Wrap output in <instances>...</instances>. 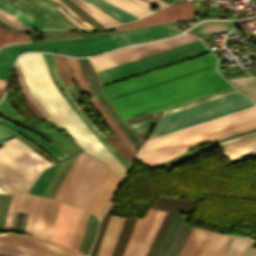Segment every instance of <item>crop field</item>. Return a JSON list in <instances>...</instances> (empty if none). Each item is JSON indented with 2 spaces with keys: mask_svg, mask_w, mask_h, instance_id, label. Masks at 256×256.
I'll return each mask as SVG.
<instances>
[{
  "mask_svg": "<svg viewBox=\"0 0 256 256\" xmlns=\"http://www.w3.org/2000/svg\"><path fill=\"white\" fill-rule=\"evenodd\" d=\"M152 121H153V118L150 120L129 124V126L134 131V133L137 134V133H140V132L150 129V127L152 125Z\"/></svg>",
  "mask_w": 256,
  "mask_h": 256,
  "instance_id": "obj_47",
  "label": "crop field"
},
{
  "mask_svg": "<svg viewBox=\"0 0 256 256\" xmlns=\"http://www.w3.org/2000/svg\"><path fill=\"white\" fill-rule=\"evenodd\" d=\"M207 52L201 40L97 72L101 84L113 82L175 61Z\"/></svg>",
  "mask_w": 256,
  "mask_h": 256,
  "instance_id": "obj_7",
  "label": "crop field"
},
{
  "mask_svg": "<svg viewBox=\"0 0 256 256\" xmlns=\"http://www.w3.org/2000/svg\"><path fill=\"white\" fill-rule=\"evenodd\" d=\"M8 1L12 2V1H14V0H8Z\"/></svg>",
  "mask_w": 256,
  "mask_h": 256,
  "instance_id": "obj_69",
  "label": "crop field"
},
{
  "mask_svg": "<svg viewBox=\"0 0 256 256\" xmlns=\"http://www.w3.org/2000/svg\"><path fill=\"white\" fill-rule=\"evenodd\" d=\"M233 92H236V90L231 88V89H228V90L216 93V94H212V95H209V96H206V97H203V98H200V99H197V100H194V101L182 104V105H178V106L163 110L162 113L166 114V113H169V112H173V111H176V110L188 107V106H192V105H195V104L207 101V100H211V99H214V98L226 95V94H230V93H233Z\"/></svg>",
  "mask_w": 256,
  "mask_h": 256,
  "instance_id": "obj_37",
  "label": "crop field"
},
{
  "mask_svg": "<svg viewBox=\"0 0 256 256\" xmlns=\"http://www.w3.org/2000/svg\"><path fill=\"white\" fill-rule=\"evenodd\" d=\"M32 196L27 194H22L19 202L17 212H28Z\"/></svg>",
  "mask_w": 256,
  "mask_h": 256,
  "instance_id": "obj_51",
  "label": "crop field"
},
{
  "mask_svg": "<svg viewBox=\"0 0 256 256\" xmlns=\"http://www.w3.org/2000/svg\"><path fill=\"white\" fill-rule=\"evenodd\" d=\"M139 18L151 13L150 11L128 1V0H105Z\"/></svg>",
  "mask_w": 256,
  "mask_h": 256,
  "instance_id": "obj_33",
  "label": "crop field"
},
{
  "mask_svg": "<svg viewBox=\"0 0 256 256\" xmlns=\"http://www.w3.org/2000/svg\"><path fill=\"white\" fill-rule=\"evenodd\" d=\"M210 233L192 230L180 256H199Z\"/></svg>",
  "mask_w": 256,
  "mask_h": 256,
  "instance_id": "obj_22",
  "label": "crop field"
},
{
  "mask_svg": "<svg viewBox=\"0 0 256 256\" xmlns=\"http://www.w3.org/2000/svg\"><path fill=\"white\" fill-rule=\"evenodd\" d=\"M43 54V56H44V59H45V62H46V64H47V67H48V70H49V72H50V75H51V78H52V80H53V82L55 83V85H56V87L58 88V90L61 92V90H60V88H59V86L57 85V83L55 82V80H54V78H53V75H52V72H51V70H50V68H49V65H48V63H47V60H46V57H45V55H44V53H42ZM61 94L63 95V93L61 92ZM64 96V95H63ZM64 98L66 99V97L64 96ZM67 100V99H66ZM68 101V100H67ZM69 102V101H68ZM69 104L71 105V103L69 102ZM71 107L74 109V107L71 105ZM75 110V109H74ZM76 111V110H75ZM77 112V111H76ZM79 115V114H78ZM80 116V115H79ZM81 117V116H80ZM82 119V118H81ZM83 120V119H82ZM84 121V120H83ZM84 123H85V121H84ZM86 124V123H85ZM87 125V124H86ZM88 126V125H87ZM88 128L90 129V127L88 126ZM91 130V129H90ZM92 131V130H91ZM93 132V131H92ZM94 133V132H93ZM94 135L100 140V142L112 153V151L101 141V139L94 133ZM113 154V153H112ZM114 155V154H113ZM115 156V155H114ZM116 157V156H115ZM116 159L119 161V159L116 157ZM120 163H121V161H120ZM122 165L127 169V170H129L123 163H122Z\"/></svg>",
  "mask_w": 256,
  "mask_h": 256,
  "instance_id": "obj_54",
  "label": "crop field"
},
{
  "mask_svg": "<svg viewBox=\"0 0 256 256\" xmlns=\"http://www.w3.org/2000/svg\"><path fill=\"white\" fill-rule=\"evenodd\" d=\"M52 55V54H51ZM56 68L63 79L66 87L72 86V74L70 72L66 58L63 56L52 55Z\"/></svg>",
  "mask_w": 256,
  "mask_h": 256,
  "instance_id": "obj_34",
  "label": "crop field"
},
{
  "mask_svg": "<svg viewBox=\"0 0 256 256\" xmlns=\"http://www.w3.org/2000/svg\"><path fill=\"white\" fill-rule=\"evenodd\" d=\"M228 16H229V17H231V16H232V11H229Z\"/></svg>",
  "mask_w": 256,
  "mask_h": 256,
  "instance_id": "obj_66",
  "label": "crop field"
},
{
  "mask_svg": "<svg viewBox=\"0 0 256 256\" xmlns=\"http://www.w3.org/2000/svg\"><path fill=\"white\" fill-rule=\"evenodd\" d=\"M157 211L149 209L143 219H138L122 256H136Z\"/></svg>",
  "mask_w": 256,
  "mask_h": 256,
  "instance_id": "obj_16",
  "label": "crop field"
},
{
  "mask_svg": "<svg viewBox=\"0 0 256 256\" xmlns=\"http://www.w3.org/2000/svg\"><path fill=\"white\" fill-rule=\"evenodd\" d=\"M124 218L111 216L97 256H109Z\"/></svg>",
  "mask_w": 256,
  "mask_h": 256,
  "instance_id": "obj_20",
  "label": "crop field"
},
{
  "mask_svg": "<svg viewBox=\"0 0 256 256\" xmlns=\"http://www.w3.org/2000/svg\"><path fill=\"white\" fill-rule=\"evenodd\" d=\"M148 1L151 2L152 4L156 5V6L160 7V8L167 5V4H165V3H163L159 0H148Z\"/></svg>",
  "mask_w": 256,
  "mask_h": 256,
  "instance_id": "obj_59",
  "label": "crop field"
},
{
  "mask_svg": "<svg viewBox=\"0 0 256 256\" xmlns=\"http://www.w3.org/2000/svg\"><path fill=\"white\" fill-rule=\"evenodd\" d=\"M134 1H136V2H138V3H140V4H142V5H144V6H146V7L151 6V5L145 3V2H143V1H141V0H134Z\"/></svg>",
  "mask_w": 256,
  "mask_h": 256,
  "instance_id": "obj_61",
  "label": "crop field"
},
{
  "mask_svg": "<svg viewBox=\"0 0 256 256\" xmlns=\"http://www.w3.org/2000/svg\"><path fill=\"white\" fill-rule=\"evenodd\" d=\"M234 25H235V21H204L190 30L203 35H208V34L227 32Z\"/></svg>",
  "mask_w": 256,
  "mask_h": 256,
  "instance_id": "obj_23",
  "label": "crop field"
},
{
  "mask_svg": "<svg viewBox=\"0 0 256 256\" xmlns=\"http://www.w3.org/2000/svg\"><path fill=\"white\" fill-rule=\"evenodd\" d=\"M0 8L13 14L23 22H25L27 25H29L32 28H46L43 24H41L36 18H34L32 15H30L28 12L4 1L0 0ZM20 11H23L21 13Z\"/></svg>",
  "mask_w": 256,
  "mask_h": 256,
  "instance_id": "obj_26",
  "label": "crop field"
},
{
  "mask_svg": "<svg viewBox=\"0 0 256 256\" xmlns=\"http://www.w3.org/2000/svg\"><path fill=\"white\" fill-rule=\"evenodd\" d=\"M249 74H251L252 76L253 75H256V70L252 71V72H249Z\"/></svg>",
  "mask_w": 256,
  "mask_h": 256,
  "instance_id": "obj_65",
  "label": "crop field"
},
{
  "mask_svg": "<svg viewBox=\"0 0 256 256\" xmlns=\"http://www.w3.org/2000/svg\"><path fill=\"white\" fill-rule=\"evenodd\" d=\"M0 15L2 17H4L6 20L10 21L11 24L0 17L1 21H3L4 23L8 24L9 26H11L12 28H14L16 30L29 29L30 28L29 26H27L25 23H23L19 19L15 18L14 16H12V15H10V14L2 11V10H0Z\"/></svg>",
  "mask_w": 256,
  "mask_h": 256,
  "instance_id": "obj_45",
  "label": "crop field"
},
{
  "mask_svg": "<svg viewBox=\"0 0 256 256\" xmlns=\"http://www.w3.org/2000/svg\"><path fill=\"white\" fill-rule=\"evenodd\" d=\"M149 30H150L154 39L172 36V35H174L178 32H181L179 30L173 29V28L168 27L166 25L150 27Z\"/></svg>",
  "mask_w": 256,
  "mask_h": 256,
  "instance_id": "obj_44",
  "label": "crop field"
},
{
  "mask_svg": "<svg viewBox=\"0 0 256 256\" xmlns=\"http://www.w3.org/2000/svg\"><path fill=\"white\" fill-rule=\"evenodd\" d=\"M163 22H165L164 19L161 17V15L158 13V11H156V12L144 17L143 19H141L137 22L117 26L116 28H117V30H120V29H125V28L155 24V23H163Z\"/></svg>",
  "mask_w": 256,
  "mask_h": 256,
  "instance_id": "obj_38",
  "label": "crop field"
},
{
  "mask_svg": "<svg viewBox=\"0 0 256 256\" xmlns=\"http://www.w3.org/2000/svg\"><path fill=\"white\" fill-rule=\"evenodd\" d=\"M131 44L125 31L90 38L29 44L5 48L0 52V79L6 81L15 57L23 51H52L85 56Z\"/></svg>",
  "mask_w": 256,
  "mask_h": 256,
  "instance_id": "obj_5",
  "label": "crop field"
},
{
  "mask_svg": "<svg viewBox=\"0 0 256 256\" xmlns=\"http://www.w3.org/2000/svg\"><path fill=\"white\" fill-rule=\"evenodd\" d=\"M18 195L19 194H14L13 195V198H12V201H11L8 213H7V220H6L5 230H10L12 213L14 211V208H15V205H16V202H17V199H18Z\"/></svg>",
  "mask_w": 256,
  "mask_h": 256,
  "instance_id": "obj_53",
  "label": "crop field"
},
{
  "mask_svg": "<svg viewBox=\"0 0 256 256\" xmlns=\"http://www.w3.org/2000/svg\"><path fill=\"white\" fill-rule=\"evenodd\" d=\"M14 135H16L15 132L0 124V144Z\"/></svg>",
  "mask_w": 256,
  "mask_h": 256,
  "instance_id": "obj_55",
  "label": "crop field"
},
{
  "mask_svg": "<svg viewBox=\"0 0 256 256\" xmlns=\"http://www.w3.org/2000/svg\"><path fill=\"white\" fill-rule=\"evenodd\" d=\"M237 87L256 101V82L243 84V85H237Z\"/></svg>",
  "mask_w": 256,
  "mask_h": 256,
  "instance_id": "obj_49",
  "label": "crop field"
},
{
  "mask_svg": "<svg viewBox=\"0 0 256 256\" xmlns=\"http://www.w3.org/2000/svg\"><path fill=\"white\" fill-rule=\"evenodd\" d=\"M56 2H58L62 7H64L74 18H76L79 22H81L83 25L87 26L88 28H90L91 30H95V28L93 26H91L89 23L83 21L82 19H80L78 16H76L74 13H72L60 0H54Z\"/></svg>",
  "mask_w": 256,
  "mask_h": 256,
  "instance_id": "obj_57",
  "label": "crop field"
},
{
  "mask_svg": "<svg viewBox=\"0 0 256 256\" xmlns=\"http://www.w3.org/2000/svg\"><path fill=\"white\" fill-rule=\"evenodd\" d=\"M0 193H5V192L0 188Z\"/></svg>",
  "mask_w": 256,
  "mask_h": 256,
  "instance_id": "obj_67",
  "label": "crop field"
},
{
  "mask_svg": "<svg viewBox=\"0 0 256 256\" xmlns=\"http://www.w3.org/2000/svg\"><path fill=\"white\" fill-rule=\"evenodd\" d=\"M117 150L118 152L131 164L133 155L123 145V143L116 137L114 133H108L105 137Z\"/></svg>",
  "mask_w": 256,
  "mask_h": 256,
  "instance_id": "obj_40",
  "label": "crop field"
},
{
  "mask_svg": "<svg viewBox=\"0 0 256 256\" xmlns=\"http://www.w3.org/2000/svg\"><path fill=\"white\" fill-rule=\"evenodd\" d=\"M161 1H163V2H165V3H167V4H169V3H171L173 0H161Z\"/></svg>",
  "mask_w": 256,
  "mask_h": 256,
  "instance_id": "obj_63",
  "label": "crop field"
},
{
  "mask_svg": "<svg viewBox=\"0 0 256 256\" xmlns=\"http://www.w3.org/2000/svg\"><path fill=\"white\" fill-rule=\"evenodd\" d=\"M0 109L7 112L12 117H17L18 115L8 106V102L3 99V101L0 103Z\"/></svg>",
  "mask_w": 256,
  "mask_h": 256,
  "instance_id": "obj_58",
  "label": "crop field"
},
{
  "mask_svg": "<svg viewBox=\"0 0 256 256\" xmlns=\"http://www.w3.org/2000/svg\"><path fill=\"white\" fill-rule=\"evenodd\" d=\"M93 158L91 155L81 152L57 191L55 200L72 204L80 181Z\"/></svg>",
  "mask_w": 256,
  "mask_h": 256,
  "instance_id": "obj_11",
  "label": "crop field"
},
{
  "mask_svg": "<svg viewBox=\"0 0 256 256\" xmlns=\"http://www.w3.org/2000/svg\"><path fill=\"white\" fill-rule=\"evenodd\" d=\"M105 168L101 162L94 158L84 175L72 205L86 208Z\"/></svg>",
  "mask_w": 256,
  "mask_h": 256,
  "instance_id": "obj_15",
  "label": "crop field"
},
{
  "mask_svg": "<svg viewBox=\"0 0 256 256\" xmlns=\"http://www.w3.org/2000/svg\"><path fill=\"white\" fill-rule=\"evenodd\" d=\"M121 181L118 180L114 175L113 177L111 178L108 186L106 187L104 193L102 194L95 210H94V214L100 218V216L104 213V211L108 208L112 198H113V195L119 185Z\"/></svg>",
  "mask_w": 256,
  "mask_h": 256,
  "instance_id": "obj_27",
  "label": "crop field"
},
{
  "mask_svg": "<svg viewBox=\"0 0 256 256\" xmlns=\"http://www.w3.org/2000/svg\"><path fill=\"white\" fill-rule=\"evenodd\" d=\"M112 174L113 173L107 168V170L103 174V176H102V178H101V180L99 182V185H98V187H97V189H96V191H95V193H94V195H93V197H92V199H91V201H90V203H89V205L87 207V210L93 211L97 201L99 200V198H100V196H101L105 186L109 182Z\"/></svg>",
  "mask_w": 256,
  "mask_h": 256,
  "instance_id": "obj_36",
  "label": "crop field"
},
{
  "mask_svg": "<svg viewBox=\"0 0 256 256\" xmlns=\"http://www.w3.org/2000/svg\"><path fill=\"white\" fill-rule=\"evenodd\" d=\"M209 53L116 84L104 92L124 120L231 88Z\"/></svg>",
  "mask_w": 256,
  "mask_h": 256,
  "instance_id": "obj_1",
  "label": "crop field"
},
{
  "mask_svg": "<svg viewBox=\"0 0 256 256\" xmlns=\"http://www.w3.org/2000/svg\"><path fill=\"white\" fill-rule=\"evenodd\" d=\"M165 213L166 212H162V211L157 212V214L154 218V221L151 225V228H150V230L147 234V237H146V239H145V241H144V243H143V245H142V247H141L137 256H145V254H146V252H147V250H148V248H149V246H150V244H151V242H152V240H153V238H154V236H155V234L158 230V227H159Z\"/></svg>",
  "mask_w": 256,
  "mask_h": 256,
  "instance_id": "obj_32",
  "label": "crop field"
},
{
  "mask_svg": "<svg viewBox=\"0 0 256 256\" xmlns=\"http://www.w3.org/2000/svg\"><path fill=\"white\" fill-rule=\"evenodd\" d=\"M256 128V106L148 140L135 158L154 167L193 147Z\"/></svg>",
  "mask_w": 256,
  "mask_h": 256,
  "instance_id": "obj_3",
  "label": "crop field"
},
{
  "mask_svg": "<svg viewBox=\"0 0 256 256\" xmlns=\"http://www.w3.org/2000/svg\"><path fill=\"white\" fill-rule=\"evenodd\" d=\"M226 236L212 232L201 256H220Z\"/></svg>",
  "mask_w": 256,
  "mask_h": 256,
  "instance_id": "obj_28",
  "label": "crop field"
},
{
  "mask_svg": "<svg viewBox=\"0 0 256 256\" xmlns=\"http://www.w3.org/2000/svg\"><path fill=\"white\" fill-rule=\"evenodd\" d=\"M115 207H116V204L112 203L110 208L108 209V211L103 216V218L100 222V225H99L97 237H96L95 243L93 245L92 251L90 253V256H96L97 251H98L99 246H100V243H101V240H102V237H103V234H104V231H105V228L107 226L109 217H110L111 213L113 212V210L115 209Z\"/></svg>",
  "mask_w": 256,
  "mask_h": 256,
  "instance_id": "obj_35",
  "label": "crop field"
},
{
  "mask_svg": "<svg viewBox=\"0 0 256 256\" xmlns=\"http://www.w3.org/2000/svg\"><path fill=\"white\" fill-rule=\"evenodd\" d=\"M4 85H5V82L4 81H2V80H0V89H4Z\"/></svg>",
  "mask_w": 256,
  "mask_h": 256,
  "instance_id": "obj_62",
  "label": "crop field"
},
{
  "mask_svg": "<svg viewBox=\"0 0 256 256\" xmlns=\"http://www.w3.org/2000/svg\"><path fill=\"white\" fill-rule=\"evenodd\" d=\"M195 205L196 200L180 199L163 195L159 196L151 208L167 211V213L146 256H155L175 212L193 213Z\"/></svg>",
  "mask_w": 256,
  "mask_h": 256,
  "instance_id": "obj_10",
  "label": "crop field"
},
{
  "mask_svg": "<svg viewBox=\"0 0 256 256\" xmlns=\"http://www.w3.org/2000/svg\"><path fill=\"white\" fill-rule=\"evenodd\" d=\"M0 254L5 256H79V252L36 237L0 233Z\"/></svg>",
  "mask_w": 256,
  "mask_h": 256,
  "instance_id": "obj_8",
  "label": "crop field"
},
{
  "mask_svg": "<svg viewBox=\"0 0 256 256\" xmlns=\"http://www.w3.org/2000/svg\"><path fill=\"white\" fill-rule=\"evenodd\" d=\"M91 4H93L94 6L104 10L105 12H107L109 15H111L112 17L116 18L117 20H119L122 23L125 22H129V21H133V20H137L139 18L103 1V0H85Z\"/></svg>",
  "mask_w": 256,
  "mask_h": 256,
  "instance_id": "obj_24",
  "label": "crop field"
},
{
  "mask_svg": "<svg viewBox=\"0 0 256 256\" xmlns=\"http://www.w3.org/2000/svg\"><path fill=\"white\" fill-rule=\"evenodd\" d=\"M137 219H124L116 245L111 256H121Z\"/></svg>",
  "mask_w": 256,
  "mask_h": 256,
  "instance_id": "obj_25",
  "label": "crop field"
},
{
  "mask_svg": "<svg viewBox=\"0 0 256 256\" xmlns=\"http://www.w3.org/2000/svg\"><path fill=\"white\" fill-rule=\"evenodd\" d=\"M131 43L143 42L152 40V37L147 28L137 29V30H129L126 31Z\"/></svg>",
  "mask_w": 256,
  "mask_h": 256,
  "instance_id": "obj_43",
  "label": "crop field"
},
{
  "mask_svg": "<svg viewBox=\"0 0 256 256\" xmlns=\"http://www.w3.org/2000/svg\"><path fill=\"white\" fill-rule=\"evenodd\" d=\"M1 93H2V90H0V95H1Z\"/></svg>",
  "mask_w": 256,
  "mask_h": 256,
  "instance_id": "obj_68",
  "label": "crop field"
},
{
  "mask_svg": "<svg viewBox=\"0 0 256 256\" xmlns=\"http://www.w3.org/2000/svg\"><path fill=\"white\" fill-rule=\"evenodd\" d=\"M0 147V187L6 193L27 192L39 174L53 163L12 138Z\"/></svg>",
  "mask_w": 256,
  "mask_h": 256,
  "instance_id": "obj_4",
  "label": "crop field"
},
{
  "mask_svg": "<svg viewBox=\"0 0 256 256\" xmlns=\"http://www.w3.org/2000/svg\"><path fill=\"white\" fill-rule=\"evenodd\" d=\"M58 202L38 198L30 233L44 239H50L53 231Z\"/></svg>",
  "mask_w": 256,
  "mask_h": 256,
  "instance_id": "obj_13",
  "label": "crop field"
},
{
  "mask_svg": "<svg viewBox=\"0 0 256 256\" xmlns=\"http://www.w3.org/2000/svg\"><path fill=\"white\" fill-rule=\"evenodd\" d=\"M26 85L56 125L69 132L86 152L102 160L121 180L128 172L99 142L53 84L41 53L18 60Z\"/></svg>",
  "mask_w": 256,
  "mask_h": 256,
  "instance_id": "obj_2",
  "label": "crop field"
},
{
  "mask_svg": "<svg viewBox=\"0 0 256 256\" xmlns=\"http://www.w3.org/2000/svg\"><path fill=\"white\" fill-rule=\"evenodd\" d=\"M59 164L60 162L46 169L34 183L29 192L41 196L48 181L50 180L51 176L53 175Z\"/></svg>",
  "mask_w": 256,
  "mask_h": 256,
  "instance_id": "obj_31",
  "label": "crop field"
},
{
  "mask_svg": "<svg viewBox=\"0 0 256 256\" xmlns=\"http://www.w3.org/2000/svg\"><path fill=\"white\" fill-rule=\"evenodd\" d=\"M195 40H198V38L191 35L182 34L177 37L149 44H143L113 51L90 59L92 61L95 71L97 72Z\"/></svg>",
  "mask_w": 256,
  "mask_h": 256,
  "instance_id": "obj_9",
  "label": "crop field"
},
{
  "mask_svg": "<svg viewBox=\"0 0 256 256\" xmlns=\"http://www.w3.org/2000/svg\"><path fill=\"white\" fill-rule=\"evenodd\" d=\"M45 55H46V57H47L48 63H49L50 68H51V70H52V72H53V75H54V78H55L56 82L58 83V85L60 86V88L63 90V92L65 93V95L68 97V99L70 100V102L73 104V106L76 108V110L79 112V114L82 113V111L80 110L81 108L79 109V107L77 106V104L75 103V101H74V100L72 99V97L70 96V94H69L68 90L66 89L64 83L62 82L61 78L59 77V75H58V73H57V71H56V69H55V67H54V64H53V62H52V59H51L50 55H49V54H45Z\"/></svg>",
  "mask_w": 256,
  "mask_h": 256,
  "instance_id": "obj_42",
  "label": "crop field"
},
{
  "mask_svg": "<svg viewBox=\"0 0 256 256\" xmlns=\"http://www.w3.org/2000/svg\"><path fill=\"white\" fill-rule=\"evenodd\" d=\"M95 220H96V218H89L88 219L84 240H83V243H82L79 250H82V251L86 250V248H87V246H88V244H89V242L92 238L93 229H94V225H95Z\"/></svg>",
  "mask_w": 256,
  "mask_h": 256,
  "instance_id": "obj_46",
  "label": "crop field"
},
{
  "mask_svg": "<svg viewBox=\"0 0 256 256\" xmlns=\"http://www.w3.org/2000/svg\"><path fill=\"white\" fill-rule=\"evenodd\" d=\"M28 2L33 7L38 9H33L28 4L22 2L21 0H16L14 3L25 8L35 16H37L48 28H72L67 22H65L53 9L59 7L56 3L51 0H23Z\"/></svg>",
  "mask_w": 256,
  "mask_h": 256,
  "instance_id": "obj_14",
  "label": "crop field"
},
{
  "mask_svg": "<svg viewBox=\"0 0 256 256\" xmlns=\"http://www.w3.org/2000/svg\"><path fill=\"white\" fill-rule=\"evenodd\" d=\"M37 198L38 197L34 196L33 200H32L30 212H29V215H28V218H27L26 229H25V232H27V233H29V231H30V227H31V223H32V217H33V212H34V209H35V206H36Z\"/></svg>",
  "mask_w": 256,
  "mask_h": 256,
  "instance_id": "obj_56",
  "label": "crop field"
},
{
  "mask_svg": "<svg viewBox=\"0 0 256 256\" xmlns=\"http://www.w3.org/2000/svg\"><path fill=\"white\" fill-rule=\"evenodd\" d=\"M254 240L246 237L227 236L221 256H256Z\"/></svg>",
  "mask_w": 256,
  "mask_h": 256,
  "instance_id": "obj_19",
  "label": "crop field"
},
{
  "mask_svg": "<svg viewBox=\"0 0 256 256\" xmlns=\"http://www.w3.org/2000/svg\"><path fill=\"white\" fill-rule=\"evenodd\" d=\"M187 217L177 214L156 256H178L192 228L187 227Z\"/></svg>",
  "mask_w": 256,
  "mask_h": 256,
  "instance_id": "obj_12",
  "label": "crop field"
},
{
  "mask_svg": "<svg viewBox=\"0 0 256 256\" xmlns=\"http://www.w3.org/2000/svg\"><path fill=\"white\" fill-rule=\"evenodd\" d=\"M0 123L12 128L14 131L18 132V133H21L23 135H26L28 136L29 138L33 139L34 141L40 143L41 145H43L44 147H46L56 158H58L59 160H62L66 157H68L66 154H64L63 152H61L60 150H58L56 147H54L52 144L46 142L45 140L7 122V121H4L2 119H0Z\"/></svg>",
  "mask_w": 256,
  "mask_h": 256,
  "instance_id": "obj_29",
  "label": "crop field"
},
{
  "mask_svg": "<svg viewBox=\"0 0 256 256\" xmlns=\"http://www.w3.org/2000/svg\"><path fill=\"white\" fill-rule=\"evenodd\" d=\"M88 214H89L88 211H84V210L82 211L80 222H79L78 229H77L76 239H75V241L73 243V247H72L74 249L78 250L81 245L83 235L85 232L87 219H88Z\"/></svg>",
  "mask_w": 256,
  "mask_h": 256,
  "instance_id": "obj_41",
  "label": "crop field"
},
{
  "mask_svg": "<svg viewBox=\"0 0 256 256\" xmlns=\"http://www.w3.org/2000/svg\"><path fill=\"white\" fill-rule=\"evenodd\" d=\"M194 1L174 3L159 10L166 22L185 19L193 15Z\"/></svg>",
  "mask_w": 256,
  "mask_h": 256,
  "instance_id": "obj_21",
  "label": "crop field"
},
{
  "mask_svg": "<svg viewBox=\"0 0 256 256\" xmlns=\"http://www.w3.org/2000/svg\"><path fill=\"white\" fill-rule=\"evenodd\" d=\"M29 41L26 34L9 32L0 27V46L8 43Z\"/></svg>",
  "mask_w": 256,
  "mask_h": 256,
  "instance_id": "obj_39",
  "label": "crop field"
},
{
  "mask_svg": "<svg viewBox=\"0 0 256 256\" xmlns=\"http://www.w3.org/2000/svg\"><path fill=\"white\" fill-rule=\"evenodd\" d=\"M251 76H248V77H243V78H237V79H232L230 81H233V80H239V79H244V78H250Z\"/></svg>",
  "mask_w": 256,
  "mask_h": 256,
  "instance_id": "obj_64",
  "label": "crop field"
},
{
  "mask_svg": "<svg viewBox=\"0 0 256 256\" xmlns=\"http://www.w3.org/2000/svg\"><path fill=\"white\" fill-rule=\"evenodd\" d=\"M252 105V103L236 92L173 112L160 117L150 138Z\"/></svg>",
  "mask_w": 256,
  "mask_h": 256,
  "instance_id": "obj_6",
  "label": "crop field"
},
{
  "mask_svg": "<svg viewBox=\"0 0 256 256\" xmlns=\"http://www.w3.org/2000/svg\"><path fill=\"white\" fill-rule=\"evenodd\" d=\"M81 116H82V118L86 121V123L91 127V125H92V123L87 119V117L85 116V114H84V116H85V118L89 121V123L91 124H89L88 122H87V120L83 117V115L81 114ZM93 126V125H92ZM94 127V126H93ZM92 128V127H91ZM95 128V127H94ZM93 129V128H92ZM96 129V128H95ZM93 131L102 139V141L117 155V157L128 167V168H130V164L106 141V139L104 138V137H102V136H100L99 134V132L97 131V129H96V131L99 133H97L94 129H93Z\"/></svg>",
  "mask_w": 256,
  "mask_h": 256,
  "instance_id": "obj_50",
  "label": "crop field"
},
{
  "mask_svg": "<svg viewBox=\"0 0 256 256\" xmlns=\"http://www.w3.org/2000/svg\"><path fill=\"white\" fill-rule=\"evenodd\" d=\"M81 211L82 210H80V209L76 210L72 231H71L68 243L66 245L67 247L71 248V246H72V242H73V239H74L75 234H76V229H77V225H78V221H79V217H80Z\"/></svg>",
  "mask_w": 256,
  "mask_h": 256,
  "instance_id": "obj_52",
  "label": "crop field"
},
{
  "mask_svg": "<svg viewBox=\"0 0 256 256\" xmlns=\"http://www.w3.org/2000/svg\"><path fill=\"white\" fill-rule=\"evenodd\" d=\"M223 154L232 162L256 156V135L223 146Z\"/></svg>",
  "mask_w": 256,
  "mask_h": 256,
  "instance_id": "obj_18",
  "label": "crop field"
},
{
  "mask_svg": "<svg viewBox=\"0 0 256 256\" xmlns=\"http://www.w3.org/2000/svg\"><path fill=\"white\" fill-rule=\"evenodd\" d=\"M72 1L75 4H77L78 6H80L81 8H83L85 11H87L89 14H91L93 17H95L99 22H101L106 27L120 24L118 21H116L114 18H112L108 14L104 13L100 9L94 7L93 5L85 2L84 0H76V1H78L80 4H82L83 6L88 8L89 10H91L94 14L92 12L88 11L87 9H85L83 6L76 3L74 0H72Z\"/></svg>",
  "mask_w": 256,
  "mask_h": 256,
  "instance_id": "obj_30",
  "label": "crop field"
},
{
  "mask_svg": "<svg viewBox=\"0 0 256 256\" xmlns=\"http://www.w3.org/2000/svg\"><path fill=\"white\" fill-rule=\"evenodd\" d=\"M253 134H256V132L249 133V134H246V135H243V136H240V137H237V138L231 139V140H227V141L221 142V143H220V145H221V144H224V143H227V142H231V141H234V140L240 139V138H243V137H246V136H249V135H253Z\"/></svg>",
  "mask_w": 256,
  "mask_h": 256,
  "instance_id": "obj_60",
  "label": "crop field"
},
{
  "mask_svg": "<svg viewBox=\"0 0 256 256\" xmlns=\"http://www.w3.org/2000/svg\"><path fill=\"white\" fill-rule=\"evenodd\" d=\"M17 71H18V76H19V81H20V85L24 91V93L26 94V96L28 97V99L31 101V103L41 112V114L45 117L48 118V116L46 115V113L42 110V108L37 104V102L32 98V96L29 94L23 80L21 77V74L19 72L18 66L16 65Z\"/></svg>",
  "mask_w": 256,
  "mask_h": 256,
  "instance_id": "obj_48",
  "label": "crop field"
},
{
  "mask_svg": "<svg viewBox=\"0 0 256 256\" xmlns=\"http://www.w3.org/2000/svg\"><path fill=\"white\" fill-rule=\"evenodd\" d=\"M75 210V208L60 203L54 231L50 240L64 246L66 245L71 231Z\"/></svg>",
  "mask_w": 256,
  "mask_h": 256,
  "instance_id": "obj_17",
  "label": "crop field"
}]
</instances>
